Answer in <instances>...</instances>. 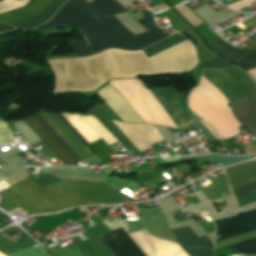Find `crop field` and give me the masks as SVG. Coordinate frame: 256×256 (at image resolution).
Here are the masks:
<instances>
[{
  "mask_svg": "<svg viewBox=\"0 0 256 256\" xmlns=\"http://www.w3.org/2000/svg\"><path fill=\"white\" fill-rule=\"evenodd\" d=\"M46 63L54 76L53 91H93L109 78L188 71L197 59L187 40L150 58L142 51L108 50L91 57Z\"/></svg>",
  "mask_w": 256,
  "mask_h": 256,
  "instance_id": "crop-field-1",
  "label": "crop field"
},
{
  "mask_svg": "<svg viewBox=\"0 0 256 256\" xmlns=\"http://www.w3.org/2000/svg\"><path fill=\"white\" fill-rule=\"evenodd\" d=\"M123 9L115 0H92L89 3L68 0L49 21L34 29L46 31L58 26L75 29L88 40L93 52L79 40L68 42L77 57L100 53L108 48L140 50L170 35L158 31L148 11L142 13L145 18L138 20L148 31L134 36L112 15Z\"/></svg>",
  "mask_w": 256,
  "mask_h": 256,
  "instance_id": "crop-field-2",
  "label": "crop field"
},
{
  "mask_svg": "<svg viewBox=\"0 0 256 256\" xmlns=\"http://www.w3.org/2000/svg\"><path fill=\"white\" fill-rule=\"evenodd\" d=\"M132 105L145 122L172 128H183L200 120L186 105V96L191 89L177 93L173 86L160 87L150 91L139 80H121L110 82Z\"/></svg>",
  "mask_w": 256,
  "mask_h": 256,
  "instance_id": "crop-field-3",
  "label": "crop field"
},
{
  "mask_svg": "<svg viewBox=\"0 0 256 256\" xmlns=\"http://www.w3.org/2000/svg\"><path fill=\"white\" fill-rule=\"evenodd\" d=\"M201 78L219 91L228 105L256 96L253 81L233 66L202 69ZM230 106L237 121L256 137V97Z\"/></svg>",
  "mask_w": 256,
  "mask_h": 256,
  "instance_id": "crop-field-4",
  "label": "crop field"
},
{
  "mask_svg": "<svg viewBox=\"0 0 256 256\" xmlns=\"http://www.w3.org/2000/svg\"><path fill=\"white\" fill-rule=\"evenodd\" d=\"M0 194L29 214L56 212L85 202L68 180L40 189L27 178Z\"/></svg>",
  "mask_w": 256,
  "mask_h": 256,
  "instance_id": "crop-field-5",
  "label": "crop field"
},
{
  "mask_svg": "<svg viewBox=\"0 0 256 256\" xmlns=\"http://www.w3.org/2000/svg\"><path fill=\"white\" fill-rule=\"evenodd\" d=\"M188 105L191 111L205 119L219 136L227 138L239 134V124L231 115L229 106L221 94L202 79L189 94Z\"/></svg>",
  "mask_w": 256,
  "mask_h": 256,
  "instance_id": "crop-field-6",
  "label": "crop field"
},
{
  "mask_svg": "<svg viewBox=\"0 0 256 256\" xmlns=\"http://www.w3.org/2000/svg\"><path fill=\"white\" fill-rule=\"evenodd\" d=\"M65 1L66 0H53L52 2L51 0H30L19 9L0 14V22L14 26L38 15L51 2L38 16L25 23L14 26L20 29H31L47 21Z\"/></svg>",
  "mask_w": 256,
  "mask_h": 256,
  "instance_id": "crop-field-7",
  "label": "crop field"
},
{
  "mask_svg": "<svg viewBox=\"0 0 256 256\" xmlns=\"http://www.w3.org/2000/svg\"><path fill=\"white\" fill-rule=\"evenodd\" d=\"M60 122L77 138V140L93 155L96 152L89 146V144L76 132V130L65 120L60 113H53ZM38 126L53 140V142L68 156V158L74 163H79L70 152L56 139V137L42 124V122L36 117H31ZM25 118L23 121L33 130V132L54 152V154L64 163L73 164L67 156L52 142V140L37 126V124L31 119Z\"/></svg>",
  "mask_w": 256,
  "mask_h": 256,
  "instance_id": "crop-field-8",
  "label": "crop field"
},
{
  "mask_svg": "<svg viewBox=\"0 0 256 256\" xmlns=\"http://www.w3.org/2000/svg\"><path fill=\"white\" fill-rule=\"evenodd\" d=\"M216 241L256 230V210L238 213L233 217L213 221Z\"/></svg>",
  "mask_w": 256,
  "mask_h": 256,
  "instance_id": "crop-field-9",
  "label": "crop field"
},
{
  "mask_svg": "<svg viewBox=\"0 0 256 256\" xmlns=\"http://www.w3.org/2000/svg\"><path fill=\"white\" fill-rule=\"evenodd\" d=\"M112 122L139 151L145 150L151 147L150 145L163 140L156 128L150 124Z\"/></svg>",
  "mask_w": 256,
  "mask_h": 256,
  "instance_id": "crop-field-10",
  "label": "crop field"
},
{
  "mask_svg": "<svg viewBox=\"0 0 256 256\" xmlns=\"http://www.w3.org/2000/svg\"><path fill=\"white\" fill-rule=\"evenodd\" d=\"M172 231L178 244L189 256H213V245L206 235L198 238L189 227L173 229Z\"/></svg>",
  "mask_w": 256,
  "mask_h": 256,
  "instance_id": "crop-field-11",
  "label": "crop field"
},
{
  "mask_svg": "<svg viewBox=\"0 0 256 256\" xmlns=\"http://www.w3.org/2000/svg\"><path fill=\"white\" fill-rule=\"evenodd\" d=\"M117 256H144L129 239L124 230L119 227L99 236Z\"/></svg>",
  "mask_w": 256,
  "mask_h": 256,
  "instance_id": "crop-field-12",
  "label": "crop field"
},
{
  "mask_svg": "<svg viewBox=\"0 0 256 256\" xmlns=\"http://www.w3.org/2000/svg\"><path fill=\"white\" fill-rule=\"evenodd\" d=\"M215 51L231 60L232 62H236L240 57H242L248 50L242 49L239 50L236 47L228 44L222 38L209 44Z\"/></svg>",
  "mask_w": 256,
  "mask_h": 256,
  "instance_id": "crop-field-13",
  "label": "crop field"
},
{
  "mask_svg": "<svg viewBox=\"0 0 256 256\" xmlns=\"http://www.w3.org/2000/svg\"><path fill=\"white\" fill-rule=\"evenodd\" d=\"M184 40H186V39H184L183 37H181L179 34L176 33V34L170 36L169 38L143 50V52L145 53V55L147 57H149V56H152L160 51H163L177 43H180Z\"/></svg>",
  "mask_w": 256,
  "mask_h": 256,
  "instance_id": "crop-field-14",
  "label": "crop field"
},
{
  "mask_svg": "<svg viewBox=\"0 0 256 256\" xmlns=\"http://www.w3.org/2000/svg\"><path fill=\"white\" fill-rule=\"evenodd\" d=\"M255 156H246V157H225L220 155H205V156H196V157H182V159H193L199 161H212V162H220L224 165H228L231 163H235L238 161L254 158Z\"/></svg>",
  "mask_w": 256,
  "mask_h": 256,
  "instance_id": "crop-field-15",
  "label": "crop field"
},
{
  "mask_svg": "<svg viewBox=\"0 0 256 256\" xmlns=\"http://www.w3.org/2000/svg\"><path fill=\"white\" fill-rule=\"evenodd\" d=\"M55 251L60 255V256H84V254L79 250V248L74 244V245H66L63 248L59 247L58 245L53 247ZM51 248L47 252L49 256H59L54 249Z\"/></svg>",
  "mask_w": 256,
  "mask_h": 256,
  "instance_id": "crop-field-16",
  "label": "crop field"
},
{
  "mask_svg": "<svg viewBox=\"0 0 256 256\" xmlns=\"http://www.w3.org/2000/svg\"><path fill=\"white\" fill-rule=\"evenodd\" d=\"M241 252V254H256V238L225 246Z\"/></svg>",
  "mask_w": 256,
  "mask_h": 256,
  "instance_id": "crop-field-17",
  "label": "crop field"
},
{
  "mask_svg": "<svg viewBox=\"0 0 256 256\" xmlns=\"http://www.w3.org/2000/svg\"><path fill=\"white\" fill-rule=\"evenodd\" d=\"M237 65L247 69L256 65V50H250L248 54L236 62Z\"/></svg>",
  "mask_w": 256,
  "mask_h": 256,
  "instance_id": "crop-field-18",
  "label": "crop field"
},
{
  "mask_svg": "<svg viewBox=\"0 0 256 256\" xmlns=\"http://www.w3.org/2000/svg\"><path fill=\"white\" fill-rule=\"evenodd\" d=\"M234 198H235V201H236V204L238 207L255 202L256 201V190L243 193L241 195L235 196Z\"/></svg>",
  "mask_w": 256,
  "mask_h": 256,
  "instance_id": "crop-field-19",
  "label": "crop field"
},
{
  "mask_svg": "<svg viewBox=\"0 0 256 256\" xmlns=\"http://www.w3.org/2000/svg\"><path fill=\"white\" fill-rule=\"evenodd\" d=\"M180 12L193 26L202 23L197 17H195L191 11L183 4L176 6L175 8Z\"/></svg>",
  "mask_w": 256,
  "mask_h": 256,
  "instance_id": "crop-field-20",
  "label": "crop field"
},
{
  "mask_svg": "<svg viewBox=\"0 0 256 256\" xmlns=\"http://www.w3.org/2000/svg\"><path fill=\"white\" fill-rule=\"evenodd\" d=\"M201 68H213V67H229L230 64L223 61L221 58L216 57L212 60L200 64Z\"/></svg>",
  "mask_w": 256,
  "mask_h": 256,
  "instance_id": "crop-field-21",
  "label": "crop field"
},
{
  "mask_svg": "<svg viewBox=\"0 0 256 256\" xmlns=\"http://www.w3.org/2000/svg\"><path fill=\"white\" fill-rule=\"evenodd\" d=\"M203 125H205L206 126V124L205 123H203L202 121H200ZM199 121H197V122H194V123H192L194 126H196L207 138H208V140H209V142H211V141H215L218 137H217V135H216V139H215V135L213 134V130L211 129V127L207 124V126L213 131H211L207 126V128H208V130L214 135H212L208 130H207V128L206 127H204L201 123H200ZM219 139V138H218ZM217 139V140H218Z\"/></svg>",
  "mask_w": 256,
  "mask_h": 256,
  "instance_id": "crop-field-22",
  "label": "crop field"
},
{
  "mask_svg": "<svg viewBox=\"0 0 256 256\" xmlns=\"http://www.w3.org/2000/svg\"><path fill=\"white\" fill-rule=\"evenodd\" d=\"M252 189H256V182H253V183L247 184L245 186L233 189L232 190L233 196L238 195V194L243 193V192H246V191H249V190H252Z\"/></svg>",
  "mask_w": 256,
  "mask_h": 256,
  "instance_id": "crop-field-23",
  "label": "crop field"
},
{
  "mask_svg": "<svg viewBox=\"0 0 256 256\" xmlns=\"http://www.w3.org/2000/svg\"><path fill=\"white\" fill-rule=\"evenodd\" d=\"M16 28L10 27L6 24L0 23V33L6 32V31H10Z\"/></svg>",
  "mask_w": 256,
  "mask_h": 256,
  "instance_id": "crop-field-24",
  "label": "crop field"
},
{
  "mask_svg": "<svg viewBox=\"0 0 256 256\" xmlns=\"http://www.w3.org/2000/svg\"><path fill=\"white\" fill-rule=\"evenodd\" d=\"M165 8H167V5L165 3H163V4L159 5V6H156V7L150 8V9L153 12H155V11H160V10L165 9Z\"/></svg>",
  "mask_w": 256,
  "mask_h": 256,
  "instance_id": "crop-field-25",
  "label": "crop field"
},
{
  "mask_svg": "<svg viewBox=\"0 0 256 256\" xmlns=\"http://www.w3.org/2000/svg\"><path fill=\"white\" fill-rule=\"evenodd\" d=\"M245 48H256V40L246 45Z\"/></svg>",
  "mask_w": 256,
  "mask_h": 256,
  "instance_id": "crop-field-26",
  "label": "crop field"
}]
</instances>
